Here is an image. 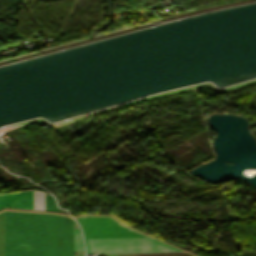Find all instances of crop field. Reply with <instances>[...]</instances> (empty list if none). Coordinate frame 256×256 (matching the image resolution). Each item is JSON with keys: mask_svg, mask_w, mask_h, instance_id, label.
<instances>
[{"mask_svg": "<svg viewBox=\"0 0 256 256\" xmlns=\"http://www.w3.org/2000/svg\"><path fill=\"white\" fill-rule=\"evenodd\" d=\"M5 256H73V220L5 212Z\"/></svg>", "mask_w": 256, "mask_h": 256, "instance_id": "8a807250", "label": "crop field"}, {"mask_svg": "<svg viewBox=\"0 0 256 256\" xmlns=\"http://www.w3.org/2000/svg\"><path fill=\"white\" fill-rule=\"evenodd\" d=\"M87 253L178 250L152 238L84 240Z\"/></svg>", "mask_w": 256, "mask_h": 256, "instance_id": "ac0d7876", "label": "crop field"}, {"mask_svg": "<svg viewBox=\"0 0 256 256\" xmlns=\"http://www.w3.org/2000/svg\"><path fill=\"white\" fill-rule=\"evenodd\" d=\"M76 220L81 227L84 239L145 237L110 217H87Z\"/></svg>", "mask_w": 256, "mask_h": 256, "instance_id": "34b2d1b8", "label": "crop field"}, {"mask_svg": "<svg viewBox=\"0 0 256 256\" xmlns=\"http://www.w3.org/2000/svg\"><path fill=\"white\" fill-rule=\"evenodd\" d=\"M3 207H16L33 209V192L0 194V209Z\"/></svg>", "mask_w": 256, "mask_h": 256, "instance_id": "412701ff", "label": "crop field"}, {"mask_svg": "<svg viewBox=\"0 0 256 256\" xmlns=\"http://www.w3.org/2000/svg\"><path fill=\"white\" fill-rule=\"evenodd\" d=\"M34 210H44V193L34 191Z\"/></svg>", "mask_w": 256, "mask_h": 256, "instance_id": "f4fd0767", "label": "crop field"}, {"mask_svg": "<svg viewBox=\"0 0 256 256\" xmlns=\"http://www.w3.org/2000/svg\"><path fill=\"white\" fill-rule=\"evenodd\" d=\"M0 256H4V212L0 213Z\"/></svg>", "mask_w": 256, "mask_h": 256, "instance_id": "dd49c442", "label": "crop field"}, {"mask_svg": "<svg viewBox=\"0 0 256 256\" xmlns=\"http://www.w3.org/2000/svg\"><path fill=\"white\" fill-rule=\"evenodd\" d=\"M74 250H84L83 249V244H82V239L80 235L79 230H75V244H74Z\"/></svg>", "mask_w": 256, "mask_h": 256, "instance_id": "e52e79f7", "label": "crop field"}]
</instances>
